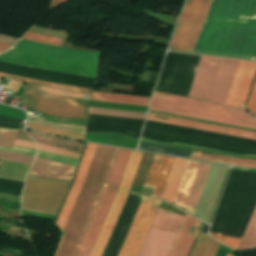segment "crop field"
Wrapping results in <instances>:
<instances>
[{
	"mask_svg": "<svg viewBox=\"0 0 256 256\" xmlns=\"http://www.w3.org/2000/svg\"><path fill=\"white\" fill-rule=\"evenodd\" d=\"M95 146L96 145L94 144H87L75 182L73 181L74 184L56 222L61 231L83 183ZM113 149L114 148L111 147L99 145L96 146L84 183L62 231L63 234L55 256H70L76 240L79 236V233L86 220V217L97 195V192L101 186ZM119 150L120 149L117 148L114 149L102 186L98 192V195L87 217V220L84 224V227L80 233V236L77 240L71 256H76L78 253V250L92 221V218L107 187ZM131 151L132 150L126 149L120 150L108 187L104 193V196L101 200V203L97 209V212L93 218V221L90 225V228L86 234V237L77 256H89V253L103 224V221L118 190Z\"/></svg>",
	"mask_w": 256,
	"mask_h": 256,
	"instance_id": "1",
	"label": "crop field"
},
{
	"mask_svg": "<svg viewBox=\"0 0 256 256\" xmlns=\"http://www.w3.org/2000/svg\"><path fill=\"white\" fill-rule=\"evenodd\" d=\"M212 0H187L168 50L192 52ZM242 0H213L193 52L221 56Z\"/></svg>",
	"mask_w": 256,
	"mask_h": 256,
	"instance_id": "2",
	"label": "crop field"
},
{
	"mask_svg": "<svg viewBox=\"0 0 256 256\" xmlns=\"http://www.w3.org/2000/svg\"><path fill=\"white\" fill-rule=\"evenodd\" d=\"M151 110L256 129V120L244 109L155 92Z\"/></svg>",
	"mask_w": 256,
	"mask_h": 256,
	"instance_id": "3",
	"label": "crop field"
},
{
	"mask_svg": "<svg viewBox=\"0 0 256 256\" xmlns=\"http://www.w3.org/2000/svg\"><path fill=\"white\" fill-rule=\"evenodd\" d=\"M238 61L202 56L188 97L224 104Z\"/></svg>",
	"mask_w": 256,
	"mask_h": 256,
	"instance_id": "4",
	"label": "crop field"
},
{
	"mask_svg": "<svg viewBox=\"0 0 256 256\" xmlns=\"http://www.w3.org/2000/svg\"><path fill=\"white\" fill-rule=\"evenodd\" d=\"M70 183L27 177L21 210L56 215Z\"/></svg>",
	"mask_w": 256,
	"mask_h": 256,
	"instance_id": "5",
	"label": "crop field"
},
{
	"mask_svg": "<svg viewBox=\"0 0 256 256\" xmlns=\"http://www.w3.org/2000/svg\"><path fill=\"white\" fill-rule=\"evenodd\" d=\"M256 53V0H243L222 56L253 59Z\"/></svg>",
	"mask_w": 256,
	"mask_h": 256,
	"instance_id": "6",
	"label": "crop field"
},
{
	"mask_svg": "<svg viewBox=\"0 0 256 256\" xmlns=\"http://www.w3.org/2000/svg\"><path fill=\"white\" fill-rule=\"evenodd\" d=\"M0 61L15 64V65H21V66L93 77V78L97 77V72H98V65H95V64L81 63V62L69 61L64 59L40 56V55H35V54L17 51L13 49H10L5 53L0 54Z\"/></svg>",
	"mask_w": 256,
	"mask_h": 256,
	"instance_id": "7",
	"label": "crop field"
},
{
	"mask_svg": "<svg viewBox=\"0 0 256 256\" xmlns=\"http://www.w3.org/2000/svg\"><path fill=\"white\" fill-rule=\"evenodd\" d=\"M182 218L159 209L138 256H166Z\"/></svg>",
	"mask_w": 256,
	"mask_h": 256,
	"instance_id": "8",
	"label": "crop field"
},
{
	"mask_svg": "<svg viewBox=\"0 0 256 256\" xmlns=\"http://www.w3.org/2000/svg\"><path fill=\"white\" fill-rule=\"evenodd\" d=\"M143 152L132 151L127 168L125 170L122 182L120 184L119 190L115 196L112 206L108 212V215L104 221L101 231L97 237L94 247L90 253V256H102L109 237L113 231L122 207L126 201L129 194V190L136 173L139 161L141 159Z\"/></svg>",
	"mask_w": 256,
	"mask_h": 256,
	"instance_id": "9",
	"label": "crop field"
},
{
	"mask_svg": "<svg viewBox=\"0 0 256 256\" xmlns=\"http://www.w3.org/2000/svg\"><path fill=\"white\" fill-rule=\"evenodd\" d=\"M210 165L188 161L173 205L194 214Z\"/></svg>",
	"mask_w": 256,
	"mask_h": 256,
	"instance_id": "10",
	"label": "crop field"
},
{
	"mask_svg": "<svg viewBox=\"0 0 256 256\" xmlns=\"http://www.w3.org/2000/svg\"><path fill=\"white\" fill-rule=\"evenodd\" d=\"M160 202L143 198L118 256H137Z\"/></svg>",
	"mask_w": 256,
	"mask_h": 256,
	"instance_id": "11",
	"label": "crop field"
},
{
	"mask_svg": "<svg viewBox=\"0 0 256 256\" xmlns=\"http://www.w3.org/2000/svg\"><path fill=\"white\" fill-rule=\"evenodd\" d=\"M13 49L31 52L35 54L53 56L69 60L88 62L98 64L99 54L96 52L81 51L63 47H54L37 42L20 39L18 43L12 47Z\"/></svg>",
	"mask_w": 256,
	"mask_h": 256,
	"instance_id": "12",
	"label": "crop field"
},
{
	"mask_svg": "<svg viewBox=\"0 0 256 256\" xmlns=\"http://www.w3.org/2000/svg\"><path fill=\"white\" fill-rule=\"evenodd\" d=\"M255 72L256 62L239 61L225 104L236 106L237 103H245Z\"/></svg>",
	"mask_w": 256,
	"mask_h": 256,
	"instance_id": "13",
	"label": "crop field"
},
{
	"mask_svg": "<svg viewBox=\"0 0 256 256\" xmlns=\"http://www.w3.org/2000/svg\"><path fill=\"white\" fill-rule=\"evenodd\" d=\"M146 120L170 123V124H175L180 126H186V127L202 129V130L218 132V133L256 140L255 132L233 129V128H228V127H223V126H218V125H213V124H208L203 122H197V121H192V120H187V119H182V118H177V117H172L167 115H161V114H156L151 112L148 113Z\"/></svg>",
	"mask_w": 256,
	"mask_h": 256,
	"instance_id": "14",
	"label": "crop field"
},
{
	"mask_svg": "<svg viewBox=\"0 0 256 256\" xmlns=\"http://www.w3.org/2000/svg\"><path fill=\"white\" fill-rule=\"evenodd\" d=\"M202 222L185 215L168 256H188Z\"/></svg>",
	"mask_w": 256,
	"mask_h": 256,
	"instance_id": "15",
	"label": "crop field"
},
{
	"mask_svg": "<svg viewBox=\"0 0 256 256\" xmlns=\"http://www.w3.org/2000/svg\"><path fill=\"white\" fill-rule=\"evenodd\" d=\"M172 157L154 155L150 170L148 172L144 186L153 188V197H160L167 175L169 173Z\"/></svg>",
	"mask_w": 256,
	"mask_h": 256,
	"instance_id": "16",
	"label": "crop field"
},
{
	"mask_svg": "<svg viewBox=\"0 0 256 256\" xmlns=\"http://www.w3.org/2000/svg\"><path fill=\"white\" fill-rule=\"evenodd\" d=\"M75 171L74 166L36 157L29 175L71 181Z\"/></svg>",
	"mask_w": 256,
	"mask_h": 256,
	"instance_id": "17",
	"label": "crop field"
},
{
	"mask_svg": "<svg viewBox=\"0 0 256 256\" xmlns=\"http://www.w3.org/2000/svg\"><path fill=\"white\" fill-rule=\"evenodd\" d=\"M28 106L38 109L50 115L83 118V119H86V116H87V109L85 108L51 102L35 96L30 101Z\"/></svg>",
	"mask_w": 256,
	"mask_h": 256,
	"instance_id": "18",
	"label": "crop field"
},
{
	"mask_svg": "<svg viewBox=\"0 0 256 256\" xmlns=\"http://www.w3.org/2000/svg\"><path fill=\"white\" fill-rule=\"evenodd\" d=\"M187 161L188 160H185V159H178V158L174 159V162L172 164L170 173L168 175L167 181L165 183V186L160 198L170 203H173V200L176 195Z\"/></svg>",
	"mask_w": 256,
	"mask_h": 256,
	"instance_id": "19",
	"label": "crop field"
},
{
	"mask_svg": "<svg viewBox=\"0 0 256 256\" xmlns=\"http://www.w3.org/2000/svg\"><path fill=\"white\" fill-rule=\"evenodd\" d=\"M189 157L223 163V164H229L234 166L256 167V160H250V159H240V158L201 153V152H195V151H192Z\"/></svg>",
	"mask_w": 256,
	"mask_h": 256,
	"instance_id": "20",
	"label": "crop field"
},
{
	"mask_svg": "<svg viewBox=\"0 0 256 256\" xmlns=\"http://www.w3.org/2000/svg\"><path fill=\"white\" fill-rule=\"evenodd\" d=\"M145 98L93 92L89 100L147 107Z\"/></svg>",
	"mask_w": 256,
	"mask_h": 256,
	"instance_id": "21",
	"label": "crop field"
},
{
	"mask_svg": "<svg viewBox=\"0 0 256 256\" xmlns=\"http://www.w3.org/2000/svg\"><path fill=\"white\" fill-rule=\"evenodd\" d=\"M29 135L33 137L37 142L56 146L62 149L70 150V151H75V152H82L83 148V143L75 142V141H70V140H64L40 133H35V132H29Z\"/></svg>",
	"mask_w": 256,
	"mask_h": 256,
	"instance_id": "22",
	"label": "crop field"
},
{
	"mask_svg": "<svg viewBox=\"0 0 256 256\" xmlns=\"http://www.w3.org/2000/svg\"><path fill=\"white\" fill-rule=\"evenodd\" d=\"M220 243L200 233L191 256H215Z\"/></svg>",
	"mask_w": 256,
	"mask_h": 256,
	"instance_id": "23",
	"label": "crop field"
},
{
	"mask_svg": "<svg viewBox=\"0 0 256 256\" xmlns=\"http://www.w3.org/2000/svg\"><path fill=\"white\" fill-rule=\"evenodd\" d=\"M38 88H39L38 85L30 84L26 88L22 97L32 98V96L35 95V96H38V97H41V98H44V99H47V100H52V101H56V102H60V103H64V104H70V105H75V106H80V107L87 108V106L80 105L78 103L77 99L69 98V97H63V96H57V95H52V94L36 91V90H38Z\"/></svg>",
	"mask_w": 256,
	"mask_h": 256,
	"instance_id": "24",
	"label": "crop field"
},
{
	"mask_svg": "<svg viewBox=\"0 0 256 256\" xmlns=\"http://www.w3.org/2000/svg\"><path fill=\"white\" fill-rule=\"evenodd\" d=\"M153 155L154 154L152 153H146V152L143 153L142 159L140 161V164H139V167L130 191L138 192V193L141 192Z\"/></svg>",
	"mask_w": 256,
	"mask_h": 256,
	"instance_id": "25",
	"label": "crop field"
},
{
	"mask_svg": "<svg viewBox=\"0 0 256 256\" xmlns=\"http://www.w3.org/2000/svg\"><path fill=\"white\" fill-rule=\"evenodd\" d=\"M256 248V208L237 249Z\"/></svg>",
	"mask_w": 256,
	"mask_h": 256,
	"instance_id": "26",
	"label": "crop field"
},
{
	"mask_svg": "<svg viewBox=\"0 0 256 256\" xmlns=\"http://www.w3.org/2000/svg\"><path fill=\"white\" fill-rule=\"evenodd\" d=\"M0 76L6 77V78H11V79H16V80H20V81H25V82H29V83H34V84H38V85L63 89V90L77 91V92H83V93H89V94L92 93L91 90H86V89H81V88H76V87H71V86H65V85H59V84H53V83H47V82L22 78V77H18V76L8 75V74H4V73H0Z\"/></svg>",
	"mask_w": 256,
	"mask_h": 256,
	"instance_id": "27",
	"label": "crop field"
},
{
	"mask_svg": "<svg viewBox=\"0 0 256 256\" xmlns=\"http://www.w3.org/2000/svg\"><path fill=\"white\" fill-rule=\"evenodd\" d=\"M89 108V113L93 114H103V115H112V116H121V117H131V118H140L144 119L146 113L142 112H132V111H122V110H112V109H102V108Z\"/></svg>",
	"mask_w": 256,
	"mask_h": 256,
	"instance_id": "28",
	"label": "crop field"
},
{
	"mask_svg": "<svg viewBox=\"0 0 256 256\" xmlns=\"http://www.w3.org/2000/svg\"><path fill=\"white\" fill-rule=\"evenodd\" d=\"M138 149L160 152V153H166V154H172V155H178V156H185V157H188L190 152H191V151H188V150H182V149H176V148H170V147H163V146H156V145H150V144H143V143L139 144Z\"/></svg>",
	"mask_w": 256,
	"mask_h": 256,
	"instance_id": "29",
	"label": "crop field"
},
{
	"mask_svg": "<svg viewBox=\"0 0 256 256\" xmlns=\"http://www.w3.org/2000/svg\"><path fill=\"white\" fill-rule=\"evenodd\" d=\"M137 142V140L128 138L120 134H110L107 144L136 148Z\"/></svg>",
	"mask_w": 256,
	"mask_h": 256,
	"instance_id": "30",
	"label": "crop field"
},
{
	"mask_svg": "<svg viewBox=\"0 0 256 256\" xmlns=\"http://www.w3.org/2000/svg\"><path fill=\"white\" fill-rule=\"evenodd\" d=\"M22 38L32 40V41L42 42V43H46V44H51V45H55V46H60L62 43V40H63L61 38L40 35V34H35V33H30V32H27Z\"/></svg>",
	"mask_w": 256,
	"mask_h": 256,
	"instance_id": "31",
	"label": "crop field"
},
{
	"mask_svg": "<svg viewBox=\"0 0 256 256\" xmlns=\"http://www.w3.org/2000/svg\"><path fill=\"white\" fill-rule=\"evenodd\" d=\"M27 126L36 131H41V132H46V133H51V134H56V135H61V136H66V137H72V138H77V139H82V140H84V138H85V136H83V135L63 132V131L45 128V127H40V126L31 124L28 122H27Z\"/></svg>",
	"mask_w": 256,
	"mask_h": 256,
	"instance_id": "32",
	"label": "crop field"
},
{
	"mask_svg": "<svg viewBox=\"0 0 256 256\" xmlns=\"http://www.w3.org/2000/svg\"><path fill=\"white\" fill-rule=\"evenodd\" d=\"M209 235L234 250H236L241 239L240 237H234V236L223 235V234L212 233V232H210Z\"/></svg>",
	"mask_w": 256,
	"mask_h": 256,
	"instance_id": "33",
	"label": "crop field"
},
{
	"mask_svg": "<svg viewBox=\"0 0 256 256\" xmlns=\"http://www.w3.org/2000/svg\"><path fill=\"white\" fill-rule=\"evenodd\" d=\"M18 130L0 129V146L11 147Z\"/></svg>",
	"mask_w": 256,
	"mask_h": 256,
	"instance_id": "34",
	"label": "crop field"
},
{
	"mask_svg": "<svg viewBox=\"0 0 256 256\" xmlns=\"http://www.w3.org/2000/svg\"><path fill=\"white\" fill-rule=\"evenodd\" d=\"M38 149L42 150V151L54 153V154H59V155H63V156L77 158V159H79L80 155H81L79 153H74V152H70V151H66V150L56 148V147L42 145V144H38Z\"/></svg>",
	"mask_w": 256,
	"mask_h": 256,
	"instance_id": "35",
	"label": "crop field"
},
{
	"mask_svg": "<svg viewBox=\"0 0 256 256\" xmlns=\"http://www.w3.org/2000/svg\"><path fill=\"white\" fill-rule=\"evenodd\" d=\"M36 156L46 158V159H50V160H54V161H58V162H62V163L75 165V166L77 165V163L79 161L77 159L58 156V155L49 154V153H45V152H41V151H38Z\"/></svg>",
	"mask_w": 256,
	"mask_h": 256,
	"instance_id": "36",
	"label": "crop field"
},
{
	"mask_svg": "<svg viewBox=\"0 0 256 256\" xmlns=\"http://www.w3.org/2000/svg\"><path fill=\"white\" fill-rule=\"evenodd\" d=\"M33 158L34 157H30V156H22V155L0 152V159L13 160V161H19V162L31 164Z\"/></svg>",
	"mask_w": 256,
	"mask_h": 256,
	"instance_id": "37",
	"label": "crop field"
},
{
	"mask_svg": "<svg viewBox=\"0 0 256 256\" xmlns=\"http://www.w3.org/2000/svg\"><path fill=\"white\" fill-rule=\"evenodd\" d=\"M39 90L44 91V92H48V93L63 95V96L75 97V98H82L83 96H85V95H82V94L71 93V92L52 89V88H47V87H43V86H40Z\"/></svg>",
	"mask_w": 256,
	"mask_h": 256,
	"instance_id": "38",
	"label": "crop field"
},
{
	"mask_svg": "<svg viewBox=\"0 0 256 256\" xmlns=\"http://www.w3.org/2000/svg\"><path fill=\"white\" fill-rule=\"evenodd\" d=\"M246 107L256 116V79L252 87Z\"/></svg>",
	"mask_w": 256,
	"mask_h": 256,
	"instance_id": "39",
	"label": "crop field"
},
{
	"mask_svg": "<svg viewBox=\"0 0 256 256\" xmlns=\"http://www.w3.org/2000/svg\"><path fill=\"white\" fill-rule=\"evenodd\" d=\"M0 151L23 154V155H31V156L35 155V150L33 149H27V148L15 147V146H13L12 149L0 147Z\"/></svg>",
	"mask_w": 256,
	"mask_h": 256,
	"instance_id": "40",
	"label": "crop field"
},
{
	"mask_svg": "<svg viewBox=\"0 0 256 256\" xmlns=\"http://www.w3.org/2000/svg\"><path fill=\"white\" fill-rule=\"evenodd\" d=\"M15 146H21V147H27V148H36V144L32 143V142H27V141H23V140H18L16 139L14 144Z\"/></svg>",
	"mask_w": 256,
	"mask_h": 256,
	"instance_id": "41",
	"label": "crop field"
},
{
	"mask_svg": "<svg viewBox=\"0 0 256 256\" xmlns=\"http://www.w3.org/2000/svg\"><path fill=\"white\" fill-rule=\"evenodd\" d=\"M16 40H17L16 38L0 35V41L4 42V43H8V44L13 45Z\"/></svg>",
	"mask_w": 256,
	"mask_h": 256,
	"instance_id": "42",
	"label": "crop field"
},
{
	"mask_svg": "<svg viewBox=\"0 0 256 256\" xmlns=\"http://www.w3.org/2000/svg\"><path fill=\"white\" fill-rule=\"evenodd\" d=\"M17 138L33 142V140L30 139L24 131H19Z\"/></svg>",
	"mask_w": 256,
	"mask_h": 256,
	"instance_id": "43",
	"label": "crop field"
},
{
	"mask_svg": "<svg viewBox=\"0 0 256 256\" xmlns=\"http://www.w3.org/2000/svg\"><path fill=\"white\" fill-rule=\"evenodd\" d=\"M11 83V82H10ZM21 85L20 82H15V81H12V83L9 85L8 89H12L14 90V92H16V90L18 89V87Z\"/></svg>",
	"mask_w": 256,
	"mask_h": 256,
	"instance_id": "44",
	"label": "crop field"
},
{
	"mask_svg": "<svg viewBox=\"0 0 256 256\" xmlns=\"http://www.w3.org/2000/svg\"><path fill=\"white\" fill-rule=\"evenodd\" d=\"M65 1H67V0H52L50 10H52L53 8H55L56 6H58L59 4L65 2Z\"/></svg>",
	"mask_w": 256,
	"mask_h": 256,
	"instance_id": "45",
	"label": "crop field"
},
{
	"mask_svg": "<svg viewBox=\"0 0 256 256\" xmlns=\"http://www.w3.org/2000/svg\"><path fill=\"white\" fill-rule=\"evenodd\" d=\"M9 47H11V45H8V44H4V43H1L0 42V50H7Z\"/></svg>",
	"mask_w": 256,
	"mask_h": 256,
	"instance_id": "46",
	"label": "crop field"
},
{
	"mask_svg": "<svg viewBox=\"0 0 256 256\" xmlns=\"http://www.w3.org/2000/svg\"><path fill=\"white\" fill-rule=\"evenodd\" d=\"M226 256H230V255L226 254Z\"/></svg>",
	"mask_w": 256,
	"mask_h": 256,
	"instance_id": "47",
	"label": "crop field"
},
{
	"mask_svg": "<svg viewBox=\"0 0 256 256\" xmlns=\"http://www.w3.org/2000/svg\"><path fill=\"white\" fill-rule=\"evenodd\" d=\"M3 52V51H0V53Z\"/></svg>",
	"mask_w": 256,
	"mask_h": 256,
	"instance_id": "48",
	"label": "crop field"
}]
</instances>
